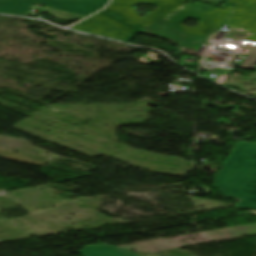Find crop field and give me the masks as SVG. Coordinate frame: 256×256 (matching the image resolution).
I'll list each match as a JSON object with an SVG mask.
<instances>
[{"label":"crop field","instance_id":"crop-field-1","mask_svg":"<svg viewBox=\"0 0 256 256\" xmlns=\"http://www.w3.org/2000/svg\"><path fill=\"white\" fill-rule=\"evenodd\" d=\"M188 0H113L99 14L71 27L129 42L148 25L164 19ZM137 2L156 4L157 8L140 18L131 7ZM221 8L232 10L225 25L235 38L256 42V0H229ZM196 50L184 48V54L194 55Z\"/></svg>","mask_w":256,"mask_h":256},{"label":"crop field","instance_id":"crop-field-2","mask_svg":"<svg viewBox=\"0 0 256 256\" xmlns=\"http://www.w3.org/2000/svg\"><path fill=\"white\" fill-rule=\"evenodd\" d=\"M214 185L225 198H241L234 208L256 210V144L238 142Z\"/></svg>","mask_w":256,"mask_h":256},{"label":"crop field","instance_id":"crop-field-3","mask_svg":"<svg viewBox=\"0 0 256 256\" xmlns=\"http://www.w3.org/2000/svg\"><path fill=\"white\" fill-rule=\"evenodd\" d=\"M108 0H0V12L24 15L34 4L46 5L60 20L81 19L104 7Z\"/></svg>","mask_w":256,"mask_h":256},{"label":"crop field","instance_id":"crop-field-4","mask_svg":"<svg viewBox=\"0 0 256 256\" xmlns=\"http://www.w3.org/2000/svg\"><path fill=\"white\" fill-rule=\"evenodd\" d=\"M78 252L81 256H138L134 252L106 245L87 246Z\"/></svg>","mask_w":256,"mask_h":256},{"label":"crop field","instance_id":"crop-field-5","mask_svg":"<svg viewBox=\"0 0 256 256\" xmlns=\"http://www.w3.org/2000/svg\"><path fill=\"white\" fill-rule=\"evenodd\" d=\"M256 65V48L250 53V55L241 64L242 68L253 69Z\"/></svg>","mask_w":256,"mask_h":256}]
</instances>
